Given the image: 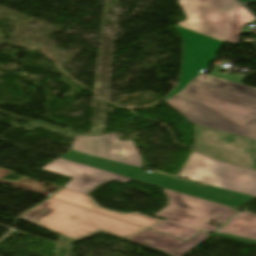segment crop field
Here are the masks:
<instances>
[{
	"instance_id": "obj_1",
	"label": "crop field",
	"mask_w": 256,
	"mask_h": 256,
	"mask_svg": "<svg viewBox=\"0 0 256 256\" xmlns=\"http://www.w3.org/2000/svg\"><path fill=\"white\" fill-rule=\"evenodd\" d=\"M174 29L183 38L182 69L177 88L163 100L193 124L256 140V124L250 130L256 121V89L240 85L246 77L196 72L208 69L223 43L179 26Z\"/></svg>"
},
{
	"instance_id": "obj_2",
	"label": "crop field",
	"mask_w": 256,
	"mask_h": 256,
	"mask_svg": "<svg viewBox=\"0 0 256 256\" xmlns=\"http://www.w3.org/2000/svg\"><path fill=\"white\" fill-rule=\"evenodd\" d=\"M183 28L237 46L242 27L256 20L236 0H179Z\"/></svg>"
},
{
	"instance_id": "obj_3",
	"label": "crop field",
	"mask_w": 256,
	"mask_h": 256,
	"mask_svg": "<svg viewBox=\"0 0 256 256\" xmlns=\"http://www.w3.org/2000/svg\"><path fill=\"white\" fill-rule=\"evenodd\" d=\"M49 201L46 207L51 212L34 223L73 240L84 239L100 231L127 239L146 230L52 198Z\"/></svg>"
},
{
	"instance_id": "obj_4",
	"label": "crop field",
	"mask_w": 256,
	"mask_h": 256,
	"mask_svg": "<svg viewBox=\"0 0 256 256\" xmlns=\"http://www.w3.org/2000/svg\"><path fill=\"white\" fill-rule=\"evenodd\" d=\"M77 163L95 167L101 170L119 174L129 178H136L141 181L156 184L168 189L211 200L221 204L237 207L255 197L231 192L215 187H205L156 173H145L138 167L127 166L91 156L84 155L80 152L70 151L60 157Z\"/></svg>"
},
{
	"instance_id": "obj_5",
	"label": "crop field",
	"mask_w": 256,
	"mask_h": 256,
	"mask_svg": "<svg viewBox=\"0 0 256 256\" xmlns=\"http://www.w3.org/2000/svg\"><path fill=\"white\" fill-rule=\"evenodd\" d=\"M179 175L211 186L256 196V171L225 164L195 152Z\"/></svg>"
},
{
	"instance_id": "obj_6",
	"label": "crop field",
	"mask_w": 256,
	"mask_h": 256,
	"mask_svg": "<svg viewBox=\"0 0 256 256\" xmlns=\"http://www.w3.org/2000/svg\"><path fill=\"white\" fill-rule=\"evenodd\" d=\"M163 190L170 205L155 215L194 229L217 230L219 227L208 224L211 220L226 223L236 214L230 207Z\"/></svg>"
},
{
	"instance_id": "obj_7",
	"label": "crop field",
	"mask_w": 256,
	"mask_h": 256,
	"mask_svg": "<svg viewBox=\"0 0 256 256\" xmlns=\"http://www.w3.org/2000/svg\"><path fill=\"white\" fill-rule=\"evenodd\" d=\"M195 152L222 162L254 169L247 139L195 126Z\"/></svg>"
},
{
	"instance_id": "obj_8",
	"label": "crop field",
	"mask_w": 256,
	"mask_h": 256,
	"mask_svg": "<svg viewBox=\"0 0 256 256\" xmlns=\"http://www.w3.org/2000/svg\"><path fill=\"white\" fill-rule=\"evenodd\" d=\"M73 150L107 160L142 167L132 140L120 141L117 134H107L101 137L76 136Z\"/></svg>"
},
{
	"instance_id": "obj_9",
	"label": "crop field",
	"mask_w": 256,
	"mask_h": 256,
	"mask_svg": "<svg viewBox=\"0 0 256 256\" xmlns=\"http://www.w3.org/2000/svg\"><path fill=\"white\" fill-rule=\"evenodd\" d=\"M43 170L73 178L64 188L87 195L94 188L104 182L116 180L128 182L129 178L94 169L88 166L70 162L64 159H56Z\"/></svg>"
},
{
	"instance_id": "obj_10",
	"label": "crop field",
	"mask_w": 256,
	"mask_h": 256,
	"mask_svg": "<svg viewBox=\"0 0 256 256\" xmlns=\"http://www.w3.org/2000/svg\"><path fill=\"white\" fill-rule=\"evenodd\" d=\"M209 233L207 231H201L195 237H193L188 242H184L178 239H174L159 233H155L149 230H146L138 235H135L127 240L137 242L140 244H145L167 252L173 256H182L200 241H202L205 235Z\"/></svg>"
},
{
	"instance_id": "obj_11",
	"label": "crop field",
	"mask_w": 256,
	"mask_h": 256,
	"mask_svg": "<svg viewBox=\"0 0 256 256\" xmlns=\"http://www.w3.org/2000/svg\"><path fill=\"white\" fill-rule=\"evenodd\" d=\"M52 198L62 200L77 206H81L99 213H103L118 219H122L137 225H141L147 228H150L162 221L155 220L146 216L139 215L137 213L129 214V215H119L109 211L102 210L94 205L90 198L67 191L62 189L57 194H55Z\"/></svg>"
},
{
	"instance_id": "obj_12",
	"label": "crop field",
	"mask_w": 256,
	"mask_h": 256,
	"mask_svg": "<svg viewBox=\"0 0 256 256\" xmlns=\"http://www.w3.org/2000/svg\"><path fill=\"white\" fill-rule=\"evenodd\" d=\"M219 232L256 239V215L239 214Z\"/></svg>"
},
{
	"instance_id": "obj_13",
	"label": "crop field",
	"mask_w": 256,
	"mask_h": 256,
	"mask_svg": "<svg viewBox=\"0 0 256 256\" xmlns=\"http://www.w3.org/2000/svg\"><path fill=\"white\" fill-rule=\"evenodd\" d=\"M150 229L165 233V234H169L184 240H188L189 238H191L193 235H195L197 232V230L191 229V228H187L175 223H171L168 221L162 222Z\"/></svg>"
},
{
	"instance_id": "obj_14",
	"label": "crop field",
	"mask_w": 256,
	"mask_h": 256,
	"mask_svg": "<svg viewBox=\"0 0 256 256\" xmlns=\"http://www.w3.org/2000/svg\"><path fill=\"white\" fill-rule=\"evenodd\" d=\"M217 235L225 237V238H229V239H232V240H236V241L256 245V241H252V240H248V239H244V238H240V237H236V236L224 235V234H220V233H217Z\"/></svg>"
},
{
	"instance_id": "obj_15",
	"label": "crop field",
	"mask_w": 256,
	"mask_h": 256,
	"mask_svg": "<svg viewBox=\"0 0 256 256\" xmlns=\"http://www.w3.org/2000/svg\"><path fill=\"white\" fill-rule=\"evenodd\" d=\"M244 5L256 2V0H240Z\"/></svg>"
},
{
	"instance_id": "obj_16",
	"label": "crop field",
	"mask_w": 256,
	"mask_h": 256,
	"mask_svg": "<svg viewBox=\"0 0 256 256\" xmlns=\"http://www.w3.org/2000/svg\"><path fill=\"white\" fill-rule=\"evenodd\" d=\"M252 144H253V149H254V154H255V159H256V141L252 140Z\"/></svg>"
}]
</instances>
